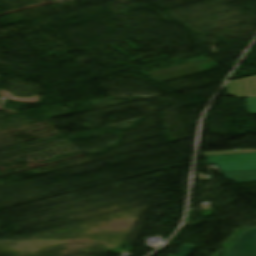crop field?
<instances>
[{
  "label": "crop field",
  "instance_id": "8a807250",
  "mask_svg": "<svg viewBox=\"0 0 256 256\" xmlns=\"http://www.w3.org/2000/svg\"><path fill=\"white\" fill-rule=\"evenodd\" d=\"M210 165H218L221 171L256 168V153L205 157Z\"/></svg>",
  "mask_w": 256,
  "mask_h": 256
},
{
  "label": "crop field",
  "instance_id": "ac0d7876",
  "mask_svg": "<svg viewBox=\"0 0 256 256\" xmlns=\"http://www.w3.org/2000/svg\"><path fill=\"white\" fill-rule=\"evenodd\" d=\"M187 61L190 63L180 65L177 67H173V68H169L166 70L150 73V75L153 76V79H155L159 82H162V81H166V80L179 78V77L195 74L198 72L206 71L196 65L210 62V60H208L207 58H205L203 56L197 57V58H194L191 60H187Z\"/></svg>",
  "mask_w": 256,
  "mask_h": 256
},
{
  "label": "crop field",
  "instance_id": "34b2d1b8",
  "mask_svg": "<svg viewBox=\"0 0 256 256\" xmlns=\"http://www.w3.org/2000/svg\"><path fill=\"white\" fill-rule=\"evenodd\" d=\"M225 256H256V229L240 234Z\"/></svg>",
  "mask_w": 256,
  "mask_h": 256
},
{
  "label": "crop field",
  "instance_id": "412701ff",
  "mask_svg": "<svg viewBox=\"0 0 256 256\" xmlns=\"http://www.w3.org/2000/svg\"><path fill=\"white\" fill-rule=\"evenodd\" d=\"M227 93L234 97H256V76L227 82Z\"/></svg>",
  "mask_w": 256,
  "mask_h": 256
},
{
  "label": "crop field",
  "instance_id": "f4fd0767",
  "mask_svg": "<svg viewBox=\"0 0 256 256\" xmlns=\"http://www.w3.org/2000/svg\"><path fill=\"white\" fill-rule=\"evenodd\" d=\"M256 152V150H240V151H224V152H212V153H203L204 156H211V155H224V154H237V153H250Z\"/></svg>",
  "mask_w": 256,
  "mask_h": 256
},
{
  "label": "crop field",
  "instance_id": "dd49c442",
  "mask_svg": "<svg viewBox=\"0 0 256 256\" xmlns=\"http://www.w3.org/2000/svg\"><path fill=\"white\" fill-rule=\"evenodd\" d=\"M249 114H256V98H246Z\"/></svg>",
  "mask_w": 256,
  "mask_h": 256
},
{
  "label": "crop field",
  "instance_id": "e52e79f7",
  "mask_svg": "<svg viewBox=\"0 0 256 256\" xmlns=\"http://www.w3.org/2000/svg\"><path fill=\"white\" fill-rule=\"evenodd\" d=\"M194 248L195 246L183 245L182 249L178 253V256H188ZM168 256H172V255H168Z\"/></svg>",
  "mask_w": 256,
  "mask_h": 256
}]
</instances>
